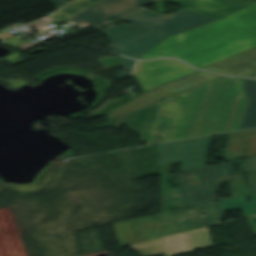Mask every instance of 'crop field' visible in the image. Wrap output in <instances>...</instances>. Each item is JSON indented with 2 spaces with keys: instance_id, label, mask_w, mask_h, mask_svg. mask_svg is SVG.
<instances>
[{
  "instance_id": "8a807250",
  "label": "crop field",
  "mask_w": 256,
  "mask_h": 256,
  "mask_svg": "<svg viewBox=\"0 0 256 256\" xmlns=\"http://www.w3.org/2000/svg\"><path fill=\"white\" fill-rule=\"evenodd\" d=\"M246 105L242 81L222 77L95 127L124 124L147 145L237 130Z\"/></svg>"
},
{
  "instance_id": "ac0d7876",
  "label": "crop field",
  "mask_w": 256,
  "mask_h": 256,
  "mask_svg": "<svg viewBox=\"0 0 256 256\" xmlns=\"http://www.w3.org/2000/svg\"><path fill=\"white\" fill-rule=\"evenodd\" d=\"M164 1L219 20L173 35L140 59L175 57L186 61L247 37L256 38V22L226 17L243 11L239 8L216 0Z\"/></svg>"
},
{
  "instance_id": "34b2d1b8",
  "label": "crop field",
  "mask_w": 256,
  "mask_h": 256,
  "mask_svg": "<svg viewBox=\"0 0 256 256\" xmlns=\"http://www.w3.org/2000/svg\"><path fill=\"white\" fill-rule=\"evenodd\" d=\"M231 163H239L240 172H243L242 160L184 170V175H182V171L177 172L175 174V180L176 185H179V187L164 190L168 206L170 208L178 207V209H181L188 206L217 201L219 198L216 192L219 191V183L224 179H228L233 197L248 194L249 190L247 187H244L242 175L191 184V176H200L201 181H204L237 174L232 173ZM244 165L245 172L251 171V173L248 174L251 193L256 192V157L244 159ZM224 170L226 172L225 176L223 174ZM177 194L180 196L174 201L173 195L177 196Z\"/></svg>"
},
{
  "instance_id": "412701ff",
  "label": "crop field",
  "mask_w": 256,
  "mask_h": 256,
  "mask_svg": "<svg viewBox=\"0 0 256 256\" xmlns=\"http://www.w3.org/2000/svg\"><path fill=\"white\" fill-rule=\"evenodd\" d=\"M189 209L191 211V208ZM189 209H187V212H185V209H182V216L187 215L190 217L188 213ZM193 209V218L190 217L188 220H186L187 223L184 222L185 220L182 222L178 220L177 215L179 214L180 210L175 211L176 216H174V211H172L135 219L137 227L134 220L115 223L114 227L119 239V243L122 246H125L148 239L217 224L221 222L225 214L219 201L193 207ZM198 212L205 213V217L199 219ZM213 215H215L217 218H215ZM131 224H133L134 229H132ZM165 225L168 226V229L164 228ZM133 231L136 232L135 235ZM138 231L140 234L137 233ZM134 236L137 237L138 241L135 240Z\"/></svg>"
},
{
  "instance_id": "f4fd0767",
  "label": "crop field",
  "mask_w": 256,
  "mask_h": 256,
  "mask_svg": "<svg viewBox=\"0 0 256 256\" xmlns=\"http://www.w3.org/2000/svg\"><path fill=\"white\" fill-rule=\"evenodd\" d=\"M122 20L171 36L216 19L187 9L168 15L142 9Z\"/></svg>"
},
{
  "instance_id": "dd49c442",
  "label": "crop field",
  "mask_w": 256,
  "mask_h": 256,
  "mask_svg": "<svg viewBox=\"0 0 256 256\" xmlns=\"http://www.w3.org/2000/svg\"><path fill=\"white\" fill-rule=\"evenodd\" d=\"M221 76L198 71L183 78L159 86L140 97L124 104L110 112L109 120L148 106L160 100L161 97H170L187 89L218 79Z\"/></svg>"
},
{
  "instance_id": "e52e79f7",
  "label": "crop field",
  "mask_w": 256,
  "mask_h": 256,
  "mask_svg": "<svg viewBox=\"0 0 256 256\" xmlns=\"http://www.w3.org/2000/svg\"><path fill=\"white\" fill-rule=\"evenodd\" d=\"M212 136L170 142L158 146V166L183 161L181 170L205 165Z\"/></svg>"
},
{
  "instance_id": "d8731c3e",
  "label": "crop field",
  "mask_w": 256,
  "mask_h": 256,
  "mask_svg": "<svg viewBox=\"0 0 256 256\" xmlns=\"http://www.w3.org/2000/svg\"><path fill=\"white\" fill-rule=\"evenodd\" d=\"M194 71L197 70L182 62L171 59H159L153 61H142L138 63L134 73L141 83L144 91H147L158 84L192 73Z\"/></svg>"
},
{
  "instance_id": "5a996713",
  "label": "crop field",
  "mask_w": 256,
  "mask_h": 256,
  "mask_svg": "<svg viewBox=\"0 0 256 256\" xmlns=\"http://www.w3.org/2000/svg\"><path fill=\"white\" fill-rule=\"evenodd\" d=\"M219 1L231 4L233 6H236L245 10L243 12L232 15L230 17L256 21V0H219ZM253 47H256V39L247 38L245 40L239 41L237 43L231 44L229 46L223 47L221 49L215 50L213 52L207 53L205 55L199 56L197 58L191 59L186 62L195 67L201 68L212 62L235 55L237 53L243 52Z\"/></svg>"
},
{
  "instance_id": "3316defc",
  "label": "crop field",
  "mask_w": 256,
  "mask_h": 256,
  "mask_svg": "<svg viewBox=\"0 0 256 256\" xmlns=\"http://www.w3.org/2000/svg\"><path fill=\"white\" fill-rule=\"evenodd\" d=\"M202 69L217 73L251 77L256 69V48L212 63Z\"/></svg>"
},
{
  "instance_id": "28ad6ade",
  "label": "crop field",
  "mask_w": 256,
  "mask_h": 256,
  "mask_svg": "<svg viewBox=\"0 0 256 256\" xmlns=\"http://www.w3.org/2000/svg\"><path fill=\"white\" fill-rule=\"evenodd\" d=\"M168 36L147 30L115 44L117 53L139 59Z\"/></svg>"
},
{
  "instance_id": "d1516ede",
  "label": "crop field",
  "mask_w": 256,
  "mask_h": 256,
  "mask_svg": "<svg viewBox=\"0 0 256 256\" xmlns=\"http://www.w3.org/2000/svg\"><path fill=\"white\" fill-rule=\"evenodd\" d=\"M188 234L194 251L197 245H199L201 249L213 247L207 228ZM131 247L141 256H157L166 253L162 239L132 245Z\"/></svg>"
},
{
  "instance_id": "22f410ed",
  "label": "crop field",
  "mask_w": 256,
  "mask_h": 256,
  "mask_svg": "<svg viewBox=\"0 0 256 256\" xmlns=\"http://www.w3.org/2000/svg\"><path fill=\"white\" fill-rule=\"evenodd\" d=\"M154 0H105L92 8L97 12L120 19Z\"/></svg>"
},
{
  "instance_id": "cbeb9de0",
  "label": "crop field",
  "mask_w": 256,
  "mask_h": 256,
  "mask_svg": "<svg viewBox=\"0 0 256 256\" xmlns=\"http://www.w3.org/2000/svg\"><path fill=\"white\" fill-rule=\"evenodd\" d=\"M248 105L238 130L256 127V80H242Z\"/></svg>"
},
{
  "instance_id": "5142ce71",
  "label": "crop field",
  "mask_w": 256,
  "mask_h": 256,
  "mask_svg": "<svg viewBox=\"0 0 256 256\" xmlns=\"http://www.w3.org/2000/svg\"><path fill=\"white\" fill-rule=\"evenodd\" d=\"M245 197H250L253 203H247ZM225 211L238 210L245 217L256 214V193L237 198H230L220 201Z\"/></svg>"
},
{
  "instance_id": "d9b57169",
  "label": "crop field",
  "mask_w": 256,
  "mask_h": 256,
  "mask_svg": "<svg viewBox=\"0 0 256 256\" xmlns=\"http://www.w3.org/2000/svg\"><path fill=\"white\" fill-rule=\"evenodd\" d=\"M147 29L140 28L134 25H124V26H112L105 30L106 35L110 39L112 44H115L121 40H124L128 37H131L135 34H138L140 32H143Z\"/></svg>"
},
{
  "instance_id": "733c2abd",
  "label": "crop field",
  "mask_w": 256,
  "mask_h": 256,
  "mask_svg": "<svg viewBox=\"0 0 256 256\" xmlns=\"http://www.w3.org/2000/svg\"><path fill=\"white\" fill-rule=\"evenodd\" d=\"M101 0H76L67 7L55 12L52 16L67 20Z\"/></svg>"
},
{
  "instance_id": "4a817a6b",
  "label": "crop field",
  "mask_w": 256,
  "mask_h": 256,
  "mask_svg": "<svg viewBox=\"0 0 256 256\" xmlns=\"http://www.w3.org/2000/svg\"><path fill=\"white\" fill-rule=\"evenodd\" d=\"M107 18H109V17L95 13L94 10H92V9H88V10L80 13L79 15L69 19L68 21L76 23V24H79L81 21H85V22L91 23L93 25H97V24L105 21Z\"/></svg>"
},
{
  "instance_id": "bc2a9ffb",
  "label": "crop field",
  "mask_w": 256,
  "mask_h": 256,
  "mask_svg": "<svg viewBox=\"0 0 256 256\" xmlns=\"http://www.w3.org/2000/svg\"><path fill=\"white\" fill-rule=\"evenodd\" d=\"M120 57V56H119ZM120 59L123 61V63L126 65L127 69L124 73H122L121 75L115 77L117 79H121V78H125L127 76H129L133 70L134 64L136 61L134 60H129L127 58L124 57H120Z\"/></svg>"
},
{
  "instance_id": "214f88e0",
  "label": "crop field",
  "mask_w": 256,
  "mask_h": 256,
  "mask_svg": "<svg viewBox=\"0 0 256 256\" xmlns=\"http://www.w3.org/2000/svg\"><path fill=\"white\" fill-rule=\"evenodd\" d=\"M41 44H43V43H33V42L29 41V42L21 43V44L10 46V47H14V48H18L23 51H26L28 49H31V48L36 47Z\"/></svg>"
},
{
  "instance_id": "92a150f3",
  "label": "crop field",
  "mask_w": 256,
  "mask_h": 256,
  "mask_svg": "<svg viewBox=\"0 0 256 256\" xmlns=\"http://www.w3.org/2000/svg\"><path fill=\"white\" fill-rule=\"evenodd\" d=\"M47 1H49V2H51V3H53V4H55L57 7H62V6H64V5H66V4H68V3H66L65 1H63V0H47Z\"/></svg>"
},
{
  "instance_id": "dafd665d",
  "label": "crop field",
  "mask_w": 256,
  "mask_h": 256,
  "mask_svg": "<svg viewBox=\"0 0 256 256\" xmlns=\"http://www.w3.org/2000/svg\"><path fill=\"white\" fill-rule=\"evenodd\" d=\"M79 30H81V29H79ZM77 31V30H76ZM74 32V31H73ZM71 33V32H70ZM66 34H68V33H66ZM62 35H65V34H62Z\"/></svg>"
},
{
  "instance_id": "00972430",
  "label": "crop field",
  "mask_w": 256,
  "mask_h": 256,
  "mask_svg": "<svg viewBox=\"0 0 256 256\" xmlns=\"http://www.w3.org/2000/svg\"><path fill=\"white\" fill-rule=\"evenodd\" d=\"M253 77H256V73L254 74V76Z\"/></svg>"
}]
</instances>
